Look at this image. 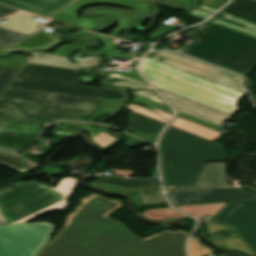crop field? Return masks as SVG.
<instances>
[{"mask_svg": "<svg viewBox=\"0 0 256 256\" xmlns=\"http://www.w3.org/2000/svg\"><path fill=\"white\" fill-rule=\"evenodd\" d=\"M67 216L64 230L39 256H186L189 235L163 231L144 241L107 216L123 208L117 200L93 194Z\"/></svg>", "mask_w": 256, "mask_h": 256, "instance_id": "1", "label": "crop field"}, {"mask_svg": "<svg viewBox=\"0 0 256 256\" xmlns=\"http://www.w3.org/2000/svg\"><path fill=\"white\" fill-rule=\"evenodd\" d=\"M103 99L8 88L0 97V150L31 144L43 125L60 120L87 121Z\"/></svg>", "mask_w": 256, "mask_h": 256, "instance_id": "2", "label": "crop field"}, {"mask_svg": "<svg viewBox=\"0 0 256 256\" xmlns=\"http://www.w3.org/2000/svg\"><path fill=\"white\" fill-rule=\"evenodd\" d=\"M160 149L164 186L192 184L206 162L225 161L224 146L172 126L162 135Z\"/></svg>", "mask_w": 256, "mask_h": 256, "instance_id": "3", "label": "crop field"}, {"mask_svg": "<svg viewBox=\"0 0 256 256\" xmlns=\"http://www.w3.org/2000/svg\"><path fill=\"white\" fill-rule=\"evenodd\" d=\"M184 35L197 39L180 52L243 75L256 67V39L207 22Z\"/></svg>", "mask_w": 256, "mask_h": 256, "instance_id": "4", "label": "crop field"}, {"mask_svg": "<svg viewBox=\"0 0 256 256\" xmlns=\"http://www.w3.org/2000/svg\"><path fill=\"white\" fill-rule=\"evenodd\" d=\"M141 71L157 88L206 104L230 114L243 93L220 86L151 59H143Z\"/></svg>", "mask_w": 256, "mask_h": 256, "instance_id": "5", "label": "crop field"}, {"mask_svg": "<svg viewBox=\"0 0 256 256\" xmlns=\"http://www.w3.org/2000/svg\"><path fill=\"white\" fill-rule=\"evenodd\" d=\"M75 184L72 177L60 180L54 189L35 182H20L0 190V208L8 224L27 222L62 210L67 206L64 199Z\"/></svg>", "mask_w": 256, "mask_h": 256, "instance_id": "6", "label": "crop field"}, {"mask_svg": "<svg viewBox=\"0 0 256 256\" xmlns=\"http://www.w3.org/2000/svg\"><path fill=\"white\" fill-rule=\"evenodd\" d=\"M77 72L27 63L18 75L21 82L13 81L9 87L122 100L117 91L79 86L74 80Z\"/></svg>", "mask_w": 256, "mask_h": 256, "instance_id": "7", "label": "crop field"}, {"mask_svg": "<svg viewBox=\"0 0 256 256\" xmlns=\"http://www.w3.org/2000/svg\"><path fill=\"white\" fill-rule=\"evenodd\" d=\"M54 227L45 222L0 226V256H35Z\"/></svg>", "mask_w": 256, "mask_h": 256, "instance_id": "8", "label": "crop field"}, {"mask_svg": "<svg viewBox=\"0 0 256 256\" xmlns=\"http://www.w3.org/2000/svg\"><path fill=\"white\" fill-rule=\"evenodd\" d=\"M157 61L194 74L209 81L246 93L244 77L182 55L172 52H157Z\"/></svg>", "mask_w": 256, "mask_h": 256, "instance_id": "9", "label": "crop field"}, {"mask_svg": "<svg viewBox=\"0 0 256 256\" xmlns=\"http://www.w3.org/2000/svg\"><path fill=\"white\" fill-rule=\"evenodd\" d=\"M210 221L234 228L256 256V200L228 202Z\"/></svg>", "mask_w": 256, "mask_h": 256, "instance_id": "10", "label": "crop field"}, {"mask_svg": "<svg viewBox=\"0 0 256 256\" xmlns=\"http://www.w3.org/2000/svg\"><path fill=\"white\" fill-rule=\"evenodd\" d=\"M94 3H104V4H113L120 5L124 7L133 8L137 11L152 13L153 9L149 8L150 2L142 0H79L71 6L67 7L59 14L54 16L52 19L62 21L74 26H78L84 29L92 30L100 27L107 26L110 22L109 18L105 17H95V18H86L79 19L76 12L78 9L87 4Z\"/></svg>", "mask_w": 256, "mask_h": 256, "instance_id": "11", "label": "crop field"}, {"mask_svg": "<svg viewBox=\"0 0 256 256\" xmlns=\"http://www.w3.org/2000/svg\"><path fill=\"white\" fill-rule=\"evenodd\" d=\"M166 195L173 206L256 199V192L240 187L174 192Z\"/></svg>", "mask_w": 256, "mask_h": 256, "instance_id": "12", "label": "crop field"}, {"mask_svg": "<svg viewBox=\"0 0 256 256\" xmlns=\"http://www.w3.org/2000/svg\"><path fill=\"white\" fill-rule=\"evenodd\" d=\"M60 39L52 33L38 30L30 35H23L0 27V48L4 50L23 49L25 52L46 49L57 43Z\"/></svg>", "mask_w": 256, "mask_h": 256, "instance_id": "13", "label": "crop field"}, {"mask_svg": "<svg viewBox=\"0 0 256 256\" xmlns=\"http://www.w3.org/2000/svg\"><path fill=\"white\" fill-rule=\"evenodd\" d=\"M158 90L164 95L167 101L170 104H172L177 110L188 112L190 114L199 116L201 118L213 121L218 124L233 116L225 112L216 110L214 108L208 107L206 105L168 93L166 91L160 89Z\"/></svg>", "mask_w": 256, "mask_h": 256, "instance_id": "14", "label": "crop field"}, {"mask_svg": "<svg viewBox=\"0 0 256 256\" xmlns=\"http://www.w3.org/2000/svg\"><path fill=\"white\" fill-rule=\"evenodd\" d=\"M92 185L108 191L114 190L113 192L118 193H126L160 186V184L152 179H124L105 175H101L92 183Z\"/></svg>", "mask_w": 256, "mask_h": 256, "instance_id": "15", "label": "crop field"}, {"mask_svg": "<svg viewBox=\"0 0 256 256\" xmlns=\"http://www.w3.org/2000/svg\"><path fill=\"white\" fill-rule=\"evenodd\" d=\"M75 0H0L15 8L48 17Z\"/></svg>", "mask_w": 256, "mask_h": 256, "instance_id": "16", "label": "crop field"}, {"mask_svg": "<svg viewBox=\"0 0 256 256\" xmlns=\"http://www.w3.org/2000/svg\"><path fill=\"white\" fill-rule=\"evenodd\" d=\"M228 186L225 163H208L192 185L176 186L177 190Z\"/></svg>", "mask_w": 256, "mask_h": 256, "instance_id": "17", "label": "crop field"}, {"mask_svg": "<svg viewBox=\"0 0 256 256\" xmlns=\"http://www.w3.org/2000/svg\"><path fill=\"white\" fill-rule=\"evenodd\" d=\"M164 126L163 123L133 111L127 129L149 142H154L156 135Z\"/></svg>", "mask_w": 256, "mask_h": 256, "instance_id": "18", "label": "crop field"}, {"mask_svg": "<svg viewBox=\"0 0 256 256\" xmlns=\"http://www.w3.org/2000/svg\"><path fill=\"white\" fill-rule=\"evenodd\" d=\"M33 58L29 61L31 63L50 65L56 67L70 68L80 70L82 67L90 66L97 63L95 56L87 58H71L79 63H71L65 57L52 56L45 53H31Z\"/></svg>", "mask_w": 256, "mask_h": 256, "instance_id": "19", "label": "crop field"}, {"mask_svg": "<svg viewBox=\"0 0 256 256\" xmlns=\"http://www.w3.org/2000/svg\"><path fill=\"white\" fill-rule=\"evenodd\" d=\"M222 12L256 23V2L250 0H233Z\"/></svg>", "mask_w": 256, "mask_h": 256, "instance_id": "20", "label": "crop field"}, {"mask_svg": "<svg viewBox=\"0 0 256 256\" xmlns=\"http://www.w3.org/2000/svg\"><path fill=\"white\" fill-rule=\"evenodd\" d=\"M31 17L32 15L27 13H17L6 18L5 20H7V23L5 22L6 24H3L2 26L22 33H29L42 24V22L30 19Z\"/></svg>", "mask_w": 256, "mask_h": 256, "instance_id": "21", "label": "crop field"}, {"mask_svg": "<svg viewBox=\"0 0 256 256\" xmlns=\"http://www.w3.org/2000/svg\"><path fill=\"white\" fill-rule=\"evenodd\" d=\"M114 77L119 78V79H123L125 81L124 82H122V81L109 82L108 84L118 86V87H123V88H146V89H149V91L141 90V91H137V92H133V93L168 106L155 92H150V90H152V89L150 88L149 85H146V84H143L141 82L131 80V79H128V78H124V77H122L120 75H117V74L109 75L108 79H112Z\"/></svg>", "mask_w": 256, "mask_h": 256, "instance_id": "22", "label": "crop field"}, {"mask_svg": "<svg viewBox=\"0 0 256 256\" xmlns=\"http://www.w3.org/2000/svg\"><path fill=\"white\" fill-rule=\"evenodd\" d=\"M222 14L226 15L223 20L218 21V20L211 19L210 22L216 23L218 25L233 29L235 31H238L256 38L255 24L227 15L225 13H222Z\"/></svg>", "mask_w": 256, "mask_h": 256, "instance_id": "23", "label": "crop field"}, {"mask_svg": "<svg viewBox=\"0 0 256 256\" xmlns=\"http://www.w3.org/2000/svg\"><path fill=\"white\" fill-rule=\"evenodd\" d=\"M172 126L180 128L182 130L188 131L190 133H193L195 135L201 136L203 138L209 139L213 141L216 139L221 133L217 131L210 130L208 128H205L201 125L195 124L193 122L184 120L182 118L177 117L175 122L172 124Z\"/></svg>", "mask_w": 256, "mask_h": 256, "instance_id": "24", "label": "crop field"}, {"mask_svg": "<svg viewBox=\"0 0 256 256\" xmlns=\"http://www.w3.org/2000/svg\"><path fill=\"white\" fill-rule=\"evenodd\" d=\"M91 13H107L112 16H114L117 19L118 26L110 32V34L119 36L123 30L133 21L135 20L139 15L137 14H131V13H123V12H116L111 10H97L92 11Z\"/></svg>", "mask_w": 256, "mask_h": 256, "instance_id": "25", "label": "crop field"}, {"mask_svg": "<svg viewBox=\"0 0 256 256\" xmlns=\"http://www.w3.org/2000/svg\"><path fill=\"white\" fill-rule=\"evenodd\" d=\"M131 193H140L138 195H135V198H136L135 205H152V204H160L165 202V200L163 199L160 193V187L131 192Z\"/></svg>", "mask_w": 256, "mask_h": 256, "instance_id": "26", "label": "crop field"}, {"mask_svg": "<svg viewBox=\"0 0 256 256\" xmlns=\"http://www.w3.org/2000/svg\"><path fill=\"white\" fill-rule=\"evenodd\" d=\"M82 125L89 130L90 137L94 145L100 148H106L116 142L114 136H111L101 130L94 128L93 125H90V124H82Z\"/></svg>", "mask_w": 256, "mask_h": 256, "instance_id": "27", "label": "crop field"}, {"mask_svg": "<svg viewBox=\"0 0 256 256\" xmlns=\"http://www.w3.org/2000/svg\"><path fill=\"white\" fill-rule=\"evenodd\" d=\"M0 163L22 173L29 170V166L27 165L25 160L15 154L0 153Z\"/></svg>", "mask_w": 256, "mask_h": 256, "instance_id": "28", "label": "crop field"}, {"mask_svg": "<svg viewBox=\"0 0 256 256\" xmlns=\"http://www.w3.org/2000/svg\"><path fill=\"white\" fill-rule=\"evenodd\" d=\"M143 218L149 219V220H163L170 217L173 218H185V216L179 214L178 212L172 210V209H164V210H150L145 211L144 214H142Z\"/></svg>", "mask_w": 256, "mask_h": 256, "instance_id": "29", "label": "crop field"}, {"mask_svg": "<svg viewBox=\"0 0 256 256\" xmlns=\"http://www.w3.org/2000/svg\"><path fill=\"white\" fill-rule=\"evenodd\" d=\"M121 101L104 99L97 111L88 120L89 122L95 121L96 118L103 114H109L120 104Z\"/></svg>", "mask_w": 256, "mask_h": 256, "instance_id": "30", "label": "crop field"}, {"mask_svg": "<svg viewBox=\"0 0 256 256\" xmlns=\"http://www.w3.org/2000/svg\"><path fill=\"white\" fill-rule=\"evenodd\" d=\"M133 106H135V105L130 104V105H128L127 108H128V109H131V110H134V111H136V112H139V113H141V114H143V115H146V116H148V117H151V118H153V119H156V120H158V121H160V122H163V123H165V124H167V121L161 120V119H159V118L162 117V118H165V119L170 120L171 117H172L171 115H168V114H166V113L160 112V111L155 110V109H152V108H150L152 111H154V112H156V113H158V114H160V115H158V114H156V113H154V112H152V111H149V110H147V109H144V108H141V107H138V106H135L136 108H134Z\"/></svg>", "mask_w": 256, "mask_h": 256, "instance_id": "31", "label": "crop field"}, {"mask_svg": "<svg viewBox=\"0 0 256 256\" xmlns=\"http://www.w3.org/2000/svg\"><path fill=\"white\" fill-rule=\"evenodd\" d=\"M213 243L219 246L226 244L227 246L225 247L228 249L239 250L241 253H245L247 254V256H251L250 251L245 247L244 243L240 241L238 238L214 241Z\"/></svg>", "mask_w": 256, "mask_h": 256, "instance_id": "32", "label": "crop field"}, {"mask_svg": "<svg viewBox=\"0 0 256 256\" xmlns=\"http://www.w3.org/2000/svg\"><path fill=\"white\" fill-rule=\"evenodd\" d=\"M18 69L0 67V94L18 72Z\"/></svg>", "mask_w": 256, "mask_h": 256, "instance_id": "33", "label": "crop field"}, {"mask_svg": "<svg viewBox=\"0 0 256 256\" xmlns=\"http://www.w3.org/2000/svg\"><path fill=\"white\" fill-rule=\"evenodd\" d=\"M190 249L192 256H206L216 251H213L205 246H203L197 238H192L190 242Z\"/></svg>", "mask_w": 256, "mask_h": 256, "instance_id": "34", "label": "crop field"}, {"mask_svg": "<svg viewBox=\"0 0 256 256\" xmlns=\"http://www.w3.org/2000/svg\"><path fill=\"white\" fill-rule=\"evenodd\" d=\"M134 95V94H133ZM134 102H137V103H140V104H143V105H146V106H149V107H152V108H155V109H158L160 111H163V112H166L168 114H171L173 115V112H172V109L169 108V107H166L164 105H161V104H158L156 102H153V101H150V100H147L145 98H142V97H139L137 95H134V98L132 99Z\"/></svg>", "mask_w": 256, "mask_h": 256, "instance_id": "35", "label": "crop field"}, {"mask_svg": "<svg viewBox=\"0 0 256 256\" xmlns=\"http://www.w3.org/2000/svg\"><path fill=\"white\" fill-rule=\"evenodd\" d=\"M28 59L29 58H23L19 55H16L14 57L7 58V59H0V66H6V67L21 69V67L24 65V63Z\"/></svg>", "mask_w": 256, "mask_h": 256, "instance_id": "36", "label": "crop field"}, {"mask_svg": "<svg viewBox=\"0 0 256 256\" xmlns=\"http://www.w3.org/2000/svg\"><path fill=\"white\" fill-rule=\"evenodd\" d=\"M79 47H80L79 45H74V44L62 45L57 50H55L52 54L68 57L71 52L78 49Z\"/></svg>", "mask_w": 256, "mask_h": 256, "instance_id": "37", "label": "crop field"}, {"mask_svg": "<svg viewBox=\"0 0 256 256\" xmlns=\"http://www.w3.org/2000/svg\"><path fill=\"white\" fill-rule=\"evenodd\" d=\"M174 28H176V27L162 23V24L159 26L158 30L153 31L152 33H150V34H151V37H150V38L153 39V40H155V39H157L158 37H160V36H162V35L168 33L170 30H172V29H174ZM150 34H149V35H150Z\"/></svg>", "mask_w": 256, "mask_h": 256, "instance_id": "38", "label": "crop field"}, {"mask_svg": "<svg viewBox=\"0 0 256 256\" xmlns=\"http://www.w3.org/2000/svg\"><path fill=\"white\" fill-rule=\"evenodd\" d=\"M94 38L100 39L105 44V50L100 51H110L114 52L117 45H114V39L104 36L92 35Z\"/></svg>", "mask_w": 256, "mask_h": 256, "instance_id": "39", "label": "crop field"}, {"mask_svg": "<svg viewBox=\"0 0 256 256\" xmlns=\"http://www.w3.org/2000/svg\"><path fill=\"white\" fill-rule=\"evenodd\" d=\"M177 116L182 117V118L187 119V120H190V121H193L195 123L201 124V125L206 126V127L210 128V129L216 130L217 128H219V126H216L214 124L202 121L200 119H197V118H194V117H191V116H188V115L183 114L181 112H178Z\"/></svg>", "mask_w": 256, "mask_h": 256, "instance_id": "40", "label": "crop field"}, {"mask_svg": "<svg viewBox=\"0 0 256 256\" xmlns=\"http://www.w3.org/2000/svg\"><path fill=\"white\" fill-rule=\"evenodd\" d=\"M200 7L203 8L204 10L208 11V12L214 13L216 11V9H212V8L205 7V6H202V5H200ZM188 14L199 17V18H203V19H205L209 15H211L210 13H207V12L201 10V9H196L194 11L189 12Z\"/></svg>", "mask_w": 256, "mask_h": 256, "instance_id": "41", "label": "crop field"}, {"mask_svg": "<svg viewBox=\"0 0 256 256\" xmlns=\"http://www.w3.org/2000/svg\"><path fill=\"white\" fill-rule=\"evenodd\" d=\"M94 52L98 53L100 55H104V56H106L110 60H112L113 57L124 58V59H132L133 58L132 54L109 53V52H99V51H94Z\"/></svg>", "mask_w": 256, "mask_h": 256, "instance_id": "42", "label": "crop field"}, {"mask_svg": "<svg viewBox=\"0 0 256 256\" xmlns=\"http://www.w3.org/2000/svg\"><path fill=\"white\" fill-rule=\"evenodd\" d=\"M201 1H202V3H201L202 5L218 9L224 3H226L228 0H201Z\"/></svg>", "mask_w": 256, "mask_h": 256, "instance_id": "43", "label": "crop field"}, {"mask_svg": "<svg viewBox=\"0 0 256 256\" xmlns=\"http://www.w3.org/2000/svg\"><path fill=\"white\" fill-rule=\"evenodd\" d=\"M111 72H118V71H111ZM118 73H120V74H122V75H125V76H127V77H130V78H133V79H135V80H138V81H141V82H143V83H146L138 74H137V72H136V70L135 69H131L129 72H127V73H122V72H118ZM147 84V83H146Z\"/></svg>", "mask_w": 256, "mask_h": 256, "instance_id": "44", "label": "crop field"}, {"mask_svg": "<svg viewBox=\"0 0 256 256\" xmlns=\"http://www.w3.org/2000/svg\"><path fill=\"white\" fill-rule=\"evenodd\" d=\"M206 226L209 228L208 233L215 232L219 229H228L227 227H224L219 224L211 223V222H208Z\"/></svg>", "mask_w": 256, "mask_h": 256, "instance_id": "45", "label": "crop field"}, {"mask_svg": "<svg viewBox=\"0 0 256 256\" xmlns=\"http://www.w3.org/2000/svg\"><path fill=\"white\" fill-rule=\"evenodd\" d=\"M16 11L18 10L4 6V5H0V18Z\"/></svg>", "mask_w": 256, "mask_h": 256, "instance_id": "46", "label": "crop field"}, {"mask_svg": "<svg viewBox=\"0 0 256 256\" xmlns=\"http://www.w3.org/2000/svg\"><path fill=\"white\" fill-rule=\"evenodd\" d=\"M42 172L49 174L50 176L53 175H60L61 169L59 168H52V167H46L42 170Z\"/></svg>", "mask_w": 256, "mask_h": 256, "instance_id": "47", "label": "crop field"}, {"mask_svg": "<svg viewBox=\"0 0 256 256\" xmlns=\"http://www.w3.org/2000/svg\"><path fill=\"white\" fill-rule=\"evenodd\" d=\"M58 132H70V133H73V134H78L80 133L79 130L77 129H73V128H69V127H65V128H61L59 130H57Z\"/></svg>", "mask_w": 256, "mask_h": 256, "instance_id": "48", "label": "crop field"}, {"mask_svg": "<svg viewBox=\"0 0 256 256\" xmlns=\"http://www.w3.org/2000/svg\"><path fill=\"white\" fill-rule=\"evenodd\" d=\"M174 1H177L179 5L184 7H190L192 5L191 0H174Z\"/></svg>", "mask_w": 256, "mask_h": 256, "instance_id": "49", "label": "crop field"}, {"mask_svg": "<svg viewBox=\"0 0 256 256\" xmlns=\"http://www.w3.org/2000/svg\"><path fill=\"white\" fill-rule=\"evenodd\" d=\"M70 137H72V136H70V135H55V134H54V139H63V140H66V139H68V138H70Z\"/></svg>", "mask_w": 256, "mask_h": 256, "instance_id": "50", "label": "crop field"}, {"mask_svg": "<svg viewBox=\"0 0 256 256\" xmlns=\"http://www.w3.org/2000/svg\"><path fill=\"white\" fill-rule=\"evenodd\" d=\"M4 224H7L1 210H0V225H4Z\"/></svg>", "mask_w": 256, "mask_h": 256, "instance_id": "51", "label": "crop field"}, {"mask_svg": "<svg viewBox=\"0 0 256 256\" xmlns=\"http://www.w3.org/2000/svg\"><path fill=\"white\" fill-rule=\"evenodd\" d=\"M7 54H9V53L4 52V51H0V55H7Z\"/></svg>", "mask_w": 256, "mask_h": 256, "instance_id": "52", "label": "crop field"}, {"mask_svg": "<svg viewBox=\"0 0 256 256\" xmlns=\"http://www.w3.org/2000/svg\"><path fill=\"white\" fill-rule=\"evenodd\" d=\"M157 56H158V54L155 55V56H154L153 58H151V59L156 60Z\"/></svg>", "mask_w": 256, "mask_h": 256, "instance_id": "53", "label": "crop field"}]
</instances>
